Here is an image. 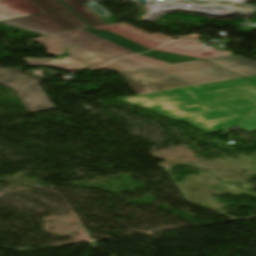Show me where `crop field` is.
Masks as SVG:
<instances>
[{
  "label": "crop field",
  "mask_w": 256,
  "mask_h": 256,
  "mask_svg": "<svg viewBox=\"0 0 256 256\" xmlns=\"http://www.w3.org/2000/svg\"><path fill=\"white\" fill-rule=\"evenodd\" d=\"M42 78L22 75L18 69L0 68V85L14 90L29 112L54 108L39 84Z\"/></svg>",
  "instance_id": "f4fd0767"
},
{
  "label": "crop field",
  "mask_w": 256,
  "mask_h": 256,
  "mask_svg": "<svg viewBox=\"0 0 256 256\" xmlns=\"http://www.w3.org/2000/svg\"><path fill=\"white\" fill-rule=\"evenodd\" d=\"M160 65H166V63H163L155 59L134 55V56L119 59L111 64L105 65L98 69H109L114 72H122V71L138 69V68L160 66ZM98 69L91 70V72H94Z\"/></svg>",
  "instance_id": "d1516ede"
},
{
  "label": "crop field",
  "mask_w": 256,
  "mask_h": 256,
  "mask_svg": "<svg viewBox=\"0 0 256 256\" xmlns=\"http://www.w3.org/2000/svg\"><path fill=\"white\" fill-rule=\"evenodd\" d=\"M96 29L100 30H110L122 37H125L133 42L146 46L150 49L172 39L167 38L159 33L155 35H151L149 33L137 30L125 23L113 24L109 26L103 27H96ZM201 36L199 34H193L191 36H181V37H173V38H180V39H198Z\"/></svg>",
  "instance_id": "d8731c3e"
},
{
  "label": "crop field",
  "mask_w": 256,
  "mask_h": 256,
  "mask_svg": "<svg viewBox=\"0 0 256 256\" xmlns=\"http://www.w3.org/2000/svg\"><path fill=\"white\" fill-rule=\"evenodd\" d=\"M248 78L256 81V76H254V77H248Z\"/></svg>",
  "instance_id": "4a817a6b"
},
{
  "label": "crop field",
  "mask_w": 256,
  "mask_h": 256,
  "mask_svg": "<svg viewBox=\"0 0 256 256\" xmlns=\"http://www.w3.org/2000/svg\"><path fill=\"white\" fill-rule=\"evenodd\" d=\"M84 31L94 34L96 36H99L101 38H104L106 40H109L111 42H114V43H116L122 47H125L133 52H136V53L148 50L136 43L126 40V39H124L114 33H111V32L97 31V30H93L91 28L85 29Z\"/></svg>",
  "instance_id": "cbeb9de0"
},
{
  "label": "crop field",
  "mask_w": 256,
  "mask_h": 256,
  "mask_svg": "<svg viewBox=\"0 0 256 256\" xmlns=\"http://www.w3.org/2000/svg\"><path fill=\"white\" fill-rule=\"evenodd\" d=\"M137 95L239 78L204 60L120 73Z\"/></svg>",
  "instance_id": "ac0d7876"
},
{
  "label": "crop field",
  "mask_w": 256,
  "mask_h": 256,
  "mask_svg": "<svg viewBox=\"0 0 256 256\" xmlns=\"http://www.w3.org/2000/svg\"><path fill=\"white\" fill-rule=\"evenodd\" d=\"M206 60L243 77L256 75V62L240 56L230 55Z\"/></svg>",
  "instance_id": "3316defc"
},
{
  "label": "crop field",
  "mask_w": 256,
  "mask_h": 256,
  "mask_svg": "<svg viewBox=\"0 0 256 256\" xmlns=\"http://www.w3.org/2000/svg\"><path fill=\"white\" fill-rule=\"evenodd\" d=\"M69 8H71L76 14H78L82 19H84L92 27L103 26L105 23L90 9L83 6L82 3L92 1V0H61ZM107 25V24H106Z\"/></svg>",
  "instance_id": "22f410ed"
},
{
  "label": "crop field",
  "mask_w": 256,
  "mask_h": 256,
  "mask_svg": "<svg viewBox=\"0 0 256 256\" xmlns=\"http://www.w3.org/2000/svg\"><path fill=\"white\" fill-rule=\"evenodd\" d=\"M243 130H256V116H251L238 126Z\"/></svg>",
  "instance_id": "733c2abd"
},
{
  "label": "crop field",
  "mask_w": 256,
  "mask_h": 256,
  "mask_svg": "<svg viewBox=\"0 0 256 256\" xmlns=\"http://www.w3.org/2000/svg\"><path fill=\"white\" fill-rule=\"evenodd\" d=\"M143 55H147L156 59H160L169 63H175V62H180V61H186V60H192L190 58H184L176 55H171L167 53H161V52H155V51H150V52H145L141 53Z\"/></svg>",
  "instance_id": "5142ce71"
},
{
  "label": "crop field",
  "mask_w": 256,
  "mask_h": 256,
  "mask_svg": "<svg viewBox=\"0 0 256 256\" xmlns=\"http://www.w3.org/2000/svg\"><path fill=\"white\" fill-rule=\"evenodd\" d=\"M69 55L60 60L40 59V58H22L28 66H48L58 68L65 72L83 70L84 62L92 59L98 54L106 55L116 59L135 54L116 44L103 40L97 43L72 46L68 48Z\"/></svg>",
  "instance_id": "412701ff"
},
{
  "label": "crop field",
  "mask_w": 256,
  "mask_h": 256,
  "mask_svg": "<svg viewBox=\"0 0 256 256\" xmlns=\"http://www.w3.org/2000/svg\"><path fill=\"white\" fill-rule=\"evenodd\" d=\"M47 48V54L59 56L64 53L69 45L103 40L99 37L86 33L82 30L71 31L61 34L32 39Z\"/></svg>",
  "instance_id": "e52e79f7"
},
{
  "label": "crop field",
  "mask_w": 256,
  "mask_h": 256,
  "mask_svg": "<svg viewBox=\"0 0 256 256\" xmlns=\"http://www.w3.org/2000/svg\"><path fill=\"white\" fill-rule=\"evenodd\" d=\"M251 113H256V104L174 120L186 122L209 133L221 131L225 126L245 119Z\"/></svg>",
  "instance_id": "dd49c442"
},
{
  "label": "crop field",
  "mask_w": 256,
  "mask_h": 256,
  "mask_svg": "<svg viewBox=\"0 0 256 256\" xmlns=\"http://www.w3.org/2000/svg\"><path fill=\"white\" fill-rule=\"evenodd\" d=\"M43 13L29 0H0V20Z\"/></svg>",
  "instance_id": "28ad6ade"
},
{
  "label": "crop field",
  "mask_w": 256,
  "mask_h": 256,
  "mask_svg": "<svg viewBox=\"0 0 256 256\" xmlns=\"http://www.w3.org/2000/svg\"><path fill=\"white\" fill-rule=\"evenodd\" d=\"M44 14L1 21L0 24L45 36L89 28L57 0H30Z\"/></svg>",
  "instance_id": "34b2d1b8"
},
{
  "label": "crop field",
  "mask_w": 256,
  "mask_h": 256,
  "mask_svg": "<svg viewBox=\"0 0 256 256\" xmlns=\"http://www.w3.org/2000/svg\"><path fill=\"white\" fill-rule=\"evenodd\" d=\"M111 60L112 59H109L105 56L99 55V56L95 57L94 59L90 60L89 62H87L86 65L89 69H91V68H95L97 66L103 65Z\"/></svg>",
  "instance_id": "d9b57169"
},
{
  "label": "crop field",
  "mask_w": 256,
  "mask_h": 256,
  "mask_svg": "<svg viewBox=\"0 0 256 256\" xmlns=\"http://www.w3.org/2000/svg\"><path fill=\"white\" fill-rule=\"evenodd\" d=\"M170 119L256 103V83L245 78L120 99Z\"/></svg>",
  "instance_id": "8a807250"
},
{
  "label": "crop field",
  "mask_w": 256,
  "mask_h": 256,
  "mask_svg": "<svg viewBox=\"0 0 256 256\" xmlns=\"http://www.w3.org/2000/svg\"><path fill=\"white\" fill-rule=\"evenodd\" d=\"M202 42L192 41H173L166 45H163L155 50L205 59L223 55H229L228 52H219L213 48L207 46H201Z\"/></svg>",
  "instance_id": "5a996713"
}]
</instances>
